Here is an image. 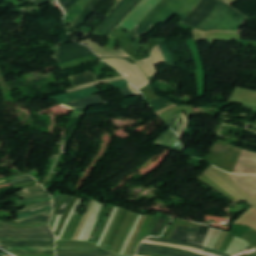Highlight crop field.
<instances>
[{
	"mask_svg": "<svg viewBox=\"0 0 256 256\" xmlns=\"http://www.w3.org/2000/svg\"><path fill=\"white\" fill-rule=\"evenodd\" d=\"M0 237H9V238H54V236H45V235H0Z\"/></svg>",
	"mask_w": 256,
	"mask_h": 256,
	"instance_id": "25",
	"label": "crop field"
},
{
	"mask_svg": "<svg viewBox=\"0 0 256 256\" xmlns=\"http://www.w3.org/2000/svg\"><path fill=\"white\" fill-rule=\"evenodd\" d=\"M143 243L167 245V246H171V247H175V248H180V249H184V250H189V251H192V252H194V253L201 254V255H206V256H217V255H220V256H231V255H227V254H224V253H221V252H218V251H215V250L207 249V248H205L204 250H205V251H208V252H211V253H214V254H217V255H214V254H211V253H208V252H205V251H200V250H198V249L189 248V247H184V246H179V245H173V244H165V243L151 242V241H146V240H144Z\"/></svg>",
	"mask_w": 256,
	"mask_h": 256,
	"instance_id": "17",
	"label": "crop field"
},
{
	"mask_svg": "<svg viewBox=\"0 0 256 256\" xmlns=\"http://www.w3.org/2000/svg\"><path fill=\"white\" fill-rule=\"evenodd\" d=\"M177 136L172 132L169 128L158 140L154 145L159 147L167 148L171 150L174 144L177 142Z\"/></svg>",
	"mask_w": 256,
	"mask_h": 256,
	"instance_id": "15",
	"label": "crop field"
},
{
	"mask_svg": "<svg viewBox=\"0 0 256 256\" xmlns=\"http://www.w3.org/2000/svg\"><path fill=\"white\" fill-rule=\"evenodd\" d=\"M74 87L96 81L91 72L70 77Z\"/></svg>",
	"mask_w": 256,
	"mask_h": 256,
	"instance_id": "19",
	"label": "crop field"
},
{
	"mask_svg": "<svg viewBox=\"0 0 256 256\" xmlns=\"http://www.w3.org/2000/svg\"><path fill=\"white\" fill-rule=\"evenodd\" d=\"M49 210H52V206L45 207V208H40V209H36V210L30 211V212L20 214L19 219L23 218V217L31 216V215H34V214H37V213H40V212L49 211Z\"/></svg>",
	"mask_w": 256,
	"mask_h": 256,
	"instance_id": "29",
	"label": "crop field"
},
{
	"mask_svg": "<svg viewBox=\"0 0 256 256\" xmlns=\"http://www.w3.org/2000/svg\"><path fill=\"white\" fill-rule=\"evenodd\" d=\"M49 1H54V0H34L33 2L35 3L36 6H38Z\"/></svg>",
	"mask_w": 256,
	"mask_h": 256,
	"instance_id": "38",
	"label": "crop field"
},
{
	"mask_svg": "<svg viewBox=\"0 0 256 256\" xmlns=\"http://www.w3.org/2000/svg\"><path fill=\"white\" fill-rule=\"evenodd\" d=\"M120 91L124 94L125 97L133 95V93L129 89H122Z\"/></svg>",
	"mask_w": 256,
	"mask_h": 256,
	"instance_id": "40",
	"label": "crop field"
},
{
	"mask_svg": "<svg viewBox=\"0 0 256 256\" xmlns=\"http://www.w3.org/2000/svg\"><path fill=\"white\" fill-rule=\"evenodd\" d=\"M222 1V0H220ZM216 0H201L196 8L182 22L190 27L196 28L203 22L215 9L220 2Z\"/></svg>",
	"mask_w": 256,
	"mask_h": 256,
	"instance_id": "5",
	"label": "crop field"
},
{
	"mask_svg": "<svg viewBox=\"0 0 256 256\" xmlns=\"http://www.w3.org/2000/svg\"><path fill=\"white\" fill-rule=\"evenodd\" d=\"M164 62L166 61L158 45L155 46L154 49L152 50L151 56L141 60H137V63L146 72L148 77L156 74L153 64L164 63Z\"/></svg>",
	"mask_w": 256,
	"mask_h": 256,
	"instance_id": "10",
	"label": "crop field"
},
{
	"mask_svg": "<svg viewBox=\"0 0 256 256\" xmlns=\"http://www.w3.org/2000/svg\"><path fill=\"white\" fill-rule=\"evenodd\" d=\"M197 231H198V229L177 227V229L174 232L171 239L192 243L196 236ZM147 240L180 244V245L190 246V247H194V248H198V249H202V250L204 249V247H201L199 245L183 243V242H178V241H172V240H167V239H158V238H154V237H149V238H147Z\"/></svg>",
	"mask_w": 256,
	"mask_h": 256,
	"instance_id": "8",
	"label": "crop field"
},
{
	"mask_svg": "<svg viewBox=\"0 0 256 256\" xmlns=\"http://www.w3.org/2000/svg\"><path fill=\"white\" fill-rule=\"evenodd\" d=\"M139 255H145V256H154V255H149V254H142V253H137Z\"/></svg>",
	"mask_w": 256,
	"mask_h": 256,
	"instance_id": "53",
	"label": "crop field"
},
{
	"mask_svg": "<svg viewBox=\"0 0 256 256\" xmlns=\"http://www.w3.org/2000/svg\"><path fill=\"white\" fill-rule=\"evenodd\" d=\"M0 234H45L53 235L50 229L43 230H0Z\"/></svg>",
	"mask_w": 256,
	"mask_h": 256,
	"instance_id": "21",
	"label": "crop field"
},
{
	"mask_svg": "<svg viewBox=\"0 0 256 256\" xmlns=\"http://www.w3.org/2000/svg\"><path fill=\"white\" fill-rule=\"evenodd\" d=\"M99 57H128L121 49L113 52H105L97 43L92 42L91 39L85 41Z\"/></svg>",
	"mask_w": 256,
	"mask_h": 256,
	"instance_id": "16",
	"label": "crop field"
},
{
	"mask_svg": "<svg viewBox=\"0 0 256 256\" xmlns=\"http://www.w3.org/2000/svg\"><path fill=\"white\" fill-rule=\"evenodd\" d=\"M17 194L19 195V197L24 199V198L33 197V196L46 195L48 193L43 190L41 185H38V186L26 188L22 192H18Z\"/></svg>",
	"mask_w": 256,
	"mask_h": 256,
	"instance_id": "18",
	"label": "crop field"
},
{
	"mask_svg": "<svg viewBox=\"0 0 256 256\" xmlns=\"http://www.w3.org/2000/svg\"><path fill=\"white\" fill-rule=\"evenodd\" d=\"M42 228H49L48 226H44V227H36V228H29V229H42ZM1 229H9V228H1Z\"/></svg>",
	"mask_w": 256,
	"mask_h": 256,
	"instance_id": "50",
	"label": "crop field"
},
{
	"mask_svg": "<svg viewBox=\"0 0 256 256\" xmlns=\"http://www.w3.org/2000/svg\"><path fill=\"white\" fill-rule=\"evenodd\" d=\"M121 79H123V77L91 83V84H88V85L77 87L76 89H73V90H69L68 93L73 92V91H77V90H81V89H84V88H87V87H90V86H94V85H97L99 83H106V82H111V81H116V80H121Z\"/></svg>",
	"mask_w": 256,
	"mask_h": 256,
	"instance_id": "30",
	"label": "crop field"
},
{
	"mask_svg": "<svg viewBox=\"0 0 256 256\" xmlns=\"http://www.w3.org/2000/svg\"><path fill=\"white\" fill-rule=\"evenodd\" d=\"M100 1L91 0L90 3L85 7V9L80 13V15L76 18L73 24L67 29L69 35L73 33L77 27L90 16V14L95 10Z\"/></svg>",
	"mask_w": 256,
	"mask_h": 256,
	"instance_id": "14",
	"label": "crop field"
},
{
	"mask_svg": "<svg viewBox=\"0 0 256 256\" xmlns=\"http://www.w3.org/2000/svg\"><path fill=\"white\" fill-rule=\"evenodd\" d=\"M49 217L50 216L45 217L44 215H42V216L35 217L33 219L20 221V222H18V224L3 222V221L1 222V224L10 225V226H29V225H33V224H37V223H41V222H48Z\"/></svg>",
	"mask_w": 256,
	"mask_h": 256,
	"instance_id": "20",
	"label": "crop field"
},
{
	"mask_svg": "<svg viewBox=\"0 0 256 256\" xmlns=\"http://www.w3.org/2000/svg\"><path fill=\"white\" fill-rule=\"evenodd\" d=\"M16 254H40V253H16Z\"/></svg>",
	"mask_w": 256,
	"mask_h": 256,
	"instance_id": "52",
	"label": "crop field"
},
{
	"mask_svg": "<svg viewBox=\"0 0 256 256\" xmlns=\"http://www.w3.org/2000/svg\"><path fill=\"white\" fill-rule=\"evenodd\" d=\"M129 89L135 94V95H137V94H139V92L137 91V90H135L130 84H129Z\"/></svg>",
	"mask_w": 256,
	"mask_h": 256,
	"instance_id": "45",
	"label": "crop field"
},
{
	"mask_svg": "<svg viewBox=\"0 0 256 256\" xmlns=\"http://www.w3.org/2000/svg\"><path fill=\"white\" fill-rule=\"evenodd\" d=\"M33 180H34V179L27 180V181H22V182H17V183H13V184H11V185L13 186V185H17V184H21V183H25V182L33 181Z\"/></svg>",
	"mask_w": 256,
	"mask_h": 256,
	"instance_id": "49",
	"label": "crop field"
},
{
	"mask_svg": "<svg viewBox=\"0 0 256 256\" xmlns=\"http://www.w3.org/2000/svg\"><path fill=\"white\" fill-rule=\"evenodd\" d=\"M173 150H177L181 152L182 144L178 141L177 144L174 146Z\"/></svg>",
	"mask_w": 256,
	"mask_h": 256,
	"instance_id": "42",
	"label": "crop field"
},
{
	"mask_svg": "<svg viewBox=\"0 0 256 256\" xmlns=\"http://www.w3.org/2000/svg\"><path fill=\"white\" fill-rule=\"evenodd\" d=\"M48 205H52V201L42 202V203L34 204L31 206H27V207H25V211H29V210L40 208V207H45ZM25 211H23V212H25ZM20 213H22V212H19L18 214H20Z\"/></svg>",
	"mask_w": 256,
	"mask_h": 256,
	"instance_id": "32",
	"label": "crop field"
},
{
	"mask_svg": "<svg viewBox=\"0 0 256 256\" xmlns=\"http://www.w3.org/2000/svg\"><path fill=\"white\" fill-rule=\"evenodd\" d=\"M209 228L210 227H207V226L200 227V230L193 243L202 245Z\"/></svg>",
	"mask_w": 256,
	"mask_h": 256,
	"instance_id": "24",
	"label": "crop field"
},
{
	"mask_svg": "<svg viewBox=\"0 0 256 256\" xmlns=\"http://www.w3.org/2000/svg\"><path fill=\"white\" fill-rule=\"evenodd\" d=\"M48 197H50V195L37 197V198H31V199H26V200H21V201H17V202L22 203V202H27V201H31V200H35V199H40V198H48Z\"/></svg>",
	"mask_w": 256,
	"mask_h": 256,
	"instance_id": "39",
	"label": "crop field"
},
{
	"mask_svg": "<svg viewBox=\"0 0 256 256\" xmlns=\"http://www.w3.org/2000/svg\"><path fill=\"white\" fill-rule=\"evenodd\" d=\"M103 102L104 101L100 97L93 96V97L81 99V100H78L77 102L69 103L66 105L75 108V109H73L74 112H73L72 117H80L81 114H83L85 112L87 106L98 104V103H103Z\"/></svg>",
	"mask_w": 256,
	"mask_h": 256,
	"instance_id": "12",
	"label": "crop field"
},
{
	"mask_svg": "<svg viewBox=\"0 0 256 256\" xmlns=\"http://www.w3.org/2000/svg\"><path fill=\"white\" fill-rule=\"evenodd\" d=\"M73 199L72 196H70V198L68 199V201L64 204V206L62 207L61 211L59 214H63L64 210L68 207V205L70 204L71 200Z\"/></svg>",
	"mask_w": 256,
	"mask_h": 256,
	"instance_id": "36",
	"label": "crop field"
},
{
	"mask_svg": "<svg viewBox=\"0 0 256 256\" xmlns=\"http://www.w3.org/2000/svg\"><path fill=\"white\" fill-rule=\"evenodd\" d=\"M48 200H51V198L35 200V201H32V202L25 203V204H20V205L23 206V205H27V204H31V203H37V202L48 201Z\"/></svg>",
	"mask_w": 256,
	"mask_h": 256,
	"instance_id": "41",
	"label": "crop field"
},
{
	"mask_svg": "<svg viewBox=\"0 0 256 256\" xmlns=\"http://www.w3.org/2000/svg\"><path fill=\"white\" fill-rule=\"evenodd\" d=\"M0 1H2V0H0Z\"/></svg>",
	"mask_w": 256,
	"mask_h": 256,
	"instance_id": "55",
	"label": "crop field"
},
{
	"mask_svg": "<svg viewBox=\"0 0 256 256\" xmlns=\"http://www.w3.org/2000/svg\"><path fill=\"white\" fill-rule=\"evenodd\" d=\"M168 216L165 214H162L160 220L158 221L155 229L153 230L152 234L153 236H157L158 232L160 231V229L162 228L163 224L165 223V221L167 220Z\"/></svg>",
	"mask_w": 256,
	"mask_h": 256,
	"instance_id": "28",
	"label": "crop field"
},
{
	"mask_svg": "<svg viewBox=\"0 0 256 256\" xmlns=\"http://www.w3.org/2000/svg\"><path fill=\"white\" fill-rule=\"evenodd\" d=\"M180 119L179 114H175L167 123L169 126L176 131L178 125H179Z\"/></svg>",
	"mask_w": 256,
	"mask_h": 256,
	"instance_id": "31",
	"label": "crop field"
},
{
	"mask_svg": "<svg viewBox=\"0 0 256 256\" xmlns=\"http://www.w3.org/2000/svg\"><path fill=\"white\" fill-rule=\"evenodd\" d=\"M63 198V196H59L54 202V209L56 208V206L59 204V202L61 201V199Z\"/></svg>",
	"mask_w": 256,
	"mask_h": 256,
	"instance_id": "43",
	"label": "crop field"
},
{
	"mask_svg": "<svg viewBox=\"0 0 256 256\" xmlns=\"http://www.w3.org/2000/svg\"><path fill=\"white\" fill-rule=\"evenodd\" d=\"M3 246L12 247H54V241H12L0 240Z\"/></svg>",
	"mask_w": 256,
	"mask_h": 256,
	"instance_id": "13",
	"label": "crop field"
},
{
	"mask_svg": "<svg viewBox=\"0 0 256 256\" xmlns=\"http://www.w3.org/2000/svg\"><path fill=\"white\" fill-rule=\"evenodd\" d=\"M58 51L59 54L55 58L60 62L58 64L70 62L93 54L89 48L76 43L61 46Z\"/></svg>",
	"mask_w": 256,
	"mask_h": 256,
	"instance_id": "7",
	"label": "crop field"
},
{
	"mask_svg": "<svg viewBox=\"0 0 256 256\" xmlns=\"http://www.w3.org/2000/svg\"><path fill=\"white\" fill-rule=\"evenodd\" d=\"M58 1L60 2V4L62 5V7L67 13L68 10L72 7V5L76 3L78 0H58Z\"/></svg>",
	"mask_w": 256,
	"mask_h": 256,
	"instance_id": "33",
	"label": "crop field"
},
{
	"mask_svg": "<svg viewBox=\"0 0 256 256\" xmlns=\"http://www.w3.org/2000/svg\"><path fill=\"white\" fill-rule=\"evenodd\" d=\"M101 92L102 91L100 89H98L96 86H94V87H90V88H87V89H84V90H81L78 92L61 95V96H58V97H55L52 99L58 101L60 104H63V103L74 101L78 98H82V97H86V96H90V95H96Z\"/></svg>",
	"mask_w": 256,
	"mask_h": 256,
	"instance_id": "11",
	"label": "crop field"
},
{
	"mask_svg": "<svg viewBox=\"0 0 256 256\" xmlns=\"http://www.w3.org/2000/svg\"><path fill=\"white\" fill-rule=\"evenodd\" d=\"M82 10L80 9V7H78L77 5L69 12V14L66 16L65 21L68 22H72L74 20L75 17L78 16V14L81 12Z\"/></svg>",
	"mask_w": 256,
	"mask_h": 256,
	"instance_id": "27",
	"label": "crop field"
},
{
	"mask_svg": "<svg viewBox=\"0 0 256 256\" xmlns=\"http://www.w3.org/2000/svg\"><path fill=\"white\" fill-rule=\"evenodd\" d=\"M0 256H2V255H0Z\"/></svg>",
	"mask_w": 256,
	"mask_h": 256,
	"instance_id": "54",
	"label": "crop field"
},
{
	"mask_svg": "<svg viewBox=\"0 0 256 256\" xmlns=\"http://www.w3.org/2000/svg\"><path fill=\"white\" fill-rule=\"evenodd\" d=\"M56 250L103 251L101 249H56Z\"/></svg>",
	"mask_w": 256,
	"mask_h": 256,
	"instance_id": "37",
	"label": "crop field"
},
{
	"mask_svg": "<svg viewBox=\"0 0 256 256\" xmlns=\"http://www.w3.org/2000/svg\"><path fill=\"white\" fill-rule=\"evenodd\" d=\"M181 118H182V124H180V126L176 132L178 134L179 138H181V136L184 134L186 125H187V117H186L184 111L181 112Z\"/></svg>",
	"mask_w": 256,
	"mask_h": 256,
	"instance_id": "26",
	"label": "crop field"
},
{
	"mask_svg": "<svg viewBox=\"0 0 256 256\" xmlns=\"http://www.w3.org/2000/svg\"><path fill=\"white\" fill-rule=\"evenodd\" d=\"M56 252H75V251H56ZM81 253H102V252H81Z\"/></svg>",
	"mask_w": 256,
	"mask_h": 256,
	"instance_id": "48",
	"label": "crop field"
},
{
	"mask_svg": "<svg viewBox=\"0 0 256 256\" xmlns=\"http://www.w3.org/2000/svg\"><path fill=\"white\" fill-rule=\"evenodd\" d=\"M198 2L199 0H162L127 37L138 38L144 35L156 22H165L173 12L183 18Z\"/></svg>",
	"mask_w": 256,
	"mask_h": 256,
	"instance_id": "1",
	"label": "crop field"
},
{
	"mask_svg": "<svg viewBox=\"0 0 256 256\" xmlns=\"http://www.w3.org/2000/svg\"><path fill=\"white\" fill-rule=\"evenodd\" d=\"M4 239V238H0ZM13 240H54V239H13Z\"/></svg>",
	"mask_w": 256,
	"mask_h": 256,
	"instance_id": "46",
	"label": "crop field"
},
{
	"mask_svg": "<svg viewBox=\"0 0 256 256\" xmlns=\"http://www.w3.org/2000/svg\"><path fill=\"white\" fill-rule=\"evenodd\" d=\"M32 177L29 178H25V179H20V180H15V181H11V182H6V183H1L0 185H4V184H8V183H13V182H17V181H22V180H27V179H31Z\"/></svg>",
	"mask_w": 256,
	"mask_h": 256,
	"instance_id": "44",
	"label": "crop field"
},
{
	"mask_svg": "<svg viewBox=\"0 0 256 256\" xmlns=\"http://www.w3.org/2000/svg\"><path fill=\"white\" fill-rule=\"evenodd\" d=\"M137 252L149 253L154 255H166V256H201L188 251L178 250L175 248L148 245V244H141Z\"/></svg>",
	"mask_w": 256,
	"mask_h": 256,
	"instance_id": "9",
	"label": "crop field"
},
{
	"mask_svg": "<svg viewBox=\"0 0 256 256\" xmlns=\"http://www.w3.org/2000/svg\"><path fill=\"white\" fill-rule=\"evenodd\" d=\"M149 103L151 104L152 108L156 112L161 110V109H164L166 107H169V106L173 105L172 103L168 102L167 100H165V99H163L161 97H159V98H157V99H155L153 101H150Z\"/></svg>",
	"mask_w": 256,
	"mask_h": 256,
	"instance_id": "23",
	"label": "crop field"
},
{
	"mask_svg": "<svg viewBox=\"0 0 256 256\" xmlns=\"http://www.w3.org/2000/svg\"><path fill=\"white\" fill-rule=\"evenodd\" d=\"M129 0H122L116 7L115 11L110 13L109 17L104 21V23L99 27L98 34L103 30L104 26L108 24L113 18L121 11V9L125 6V4ZM141 0H130L126 6L122 9V11L115 17V19L105 26L102 31V35L108 36L111 31L114 30L116 26H118L130 13V11L140 2Z\"/></svg>",
	"mask_w": 256,
	"mask_h": 256,
	"instance_id": "4",
	"label": "crop field"
},
{
	"mask_svg": "<svg viewBox=\"0 0 256 256\" xmlns=\"http://www.w3.org/2000/svg\"><path fill=\"white\" fill-rule=\"evenodd\" d=\"M11 252H19V251H11ZM32 252H54V251H32Z\"/></svg>",
	"mask_w": 256,
	"mask_h": 256,
	"instance_id": "51",
	"label": "crop field"
},
{
	"mask_svg": "<svg viewBox=\"0 0 256 256\" xmlns=\"http://www.w3.org/2000/svg\"><path fill=\"white\" fill-rule=\"evenodd\" d=\"M103 60L110 63L116 70L121 72L127 78V80L130 81L138 89H141L150 84L144 73L137 65H132L123 59Z\"/></svg>",
	"mask_w": 256,
	"mask_h": 256,
	"instance_id": "3",
	"label": "crop field"
},
{
	"mask_svg": "<svg viewBox=\"0 0 256 256\" xmlns=\"http://www.w3.org/2000/svg\"><path fill=\"white\" fill-rule=\"evenodd\" d=\"M50 212H52V211H50ZM50 212H45V213H41V214H45L46 215V214H48ZM41 214H37V215L31 216V217H35V216H38V215H41ZM31 217L23 218V219H20V220L28 219V218H31ZM17 221H19V220H17Z\"/></svg>",
	"mask_w": 256,
	"mask_h": 256,
	"instance_id": "47",
	"label": "crop field"
},
{
	"mask_svg": "<svg viewBox=\"0 0 256 256\" xmlns=\"http://www.w3.org/2000/svg\"><path fill=\"white\" fill-rule=\"evenodd\" d=\"M246 18L234 9L223 3H219L213 13L197 29L210 30H234L237 31Z\"/></svg>",
	"mask_w": 256,
	"mask_h": 256,
	"instance_id": "2",
	"label": "crop field"
},
{
	"mask_svg": "<svg viewBox=\"0 0 256 256\" xmlns=\"http://www.w3.org/2000/svg\"><path fill=\"white\" fill-rule=\"evenodd\" d=\"M75 254H81V253H75ZM106 254V253H102ZM57 256H111L110 254L106 255H71V254H57Z\"/></svg>",
	"mask_w": 256,
	"mask_h": 256,
	"instance_id": "35",
	"label": "crop field"
},
{
	"mask_svg": "<svg viewBox=\"0 0 256 256\" xmlns=\"http://www.w3.org/2000/svg\"><path fill=\"white\" fill-rule=\"evenodd\" d=\"M159 2L160 0H143L120 26L128 31L132 30Z\"/></svg>",
	"mask_w": 256,
	"mask_h": 256,
	"instance_id": "6",
	"label": "crop field"
},
{
	"mask_svg": "<svg viewBox=\"0 0 256 256\" xmlns=\"http://www.w3.org/2000/svg\"><path fill=\"white\" fill-rule=\"evenodd\" d=\"M163 54H164V57L167 61V63L171 66H174L175 67V63H174V58L171 54V50L169 49L168 45H167V42L166 40H160V39H156Z\"/></svg>",
	"mask_w": 256,
	"mask_h": 256,
	"instance_id": "22",
	"label": "crop field"
},
{
	"mask_svg": "<svg viewBox=\"0 0 256 256\" xmlns=\"http://www.w3.org/2000/svg\"><path fill=\"white\" fill-rule=\"evenodd\" d=\"M109 86H112L115 89H121V88H126L127 87V83L125 80L123 81H118V82H111L108 84Z\"/></svg>",
	"mask_w": 256,
	"mask_h": 256,
	"instance_id": "34",
	"label": "crop field"
}]
</instances>
